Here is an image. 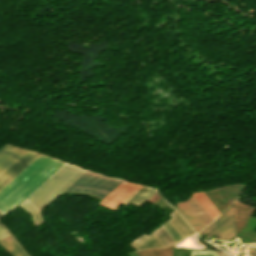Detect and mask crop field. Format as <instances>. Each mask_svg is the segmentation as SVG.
<instances>
[{"mask_svg": "<svg viewBox=\"0 0 256 256\" xmlns=\"http://www.w3.org/2000/svg\"><path fill=\"white\" fill-rule=\"evenodd\" d=\"M191 256H216L214 252H191Z\"/></svg>", "mask_w": 256, "mask_h": 256, "instance_id": "crop-field-14", "label": "crop field"}, {"mask_svg": "<svg viewBox=\"0 0 256 256\" xmlns=\"http://www.w3.org/2000/svg\"><path fill=\"white\" fill-rule=\"evenodd\" d=\"M247 252L249 256H256V250L247 248Z\"/></svg>", "mask_w": 256, "mask_h": 256, "instance_id": "crop-field-16", "label": "crop field"}, {"mask_svg": "<svg viewBox=\"0 0 256 256\" xmlns=\"http://www.w3.org/2000/svg\"><path fill=\"white\" fill-rule=\"evenodd\" d=\"M39 156L40 154L36 152L28 151L4 173H2L0 175V190Z\"/></svg>", "mask_w": 256, "mask_h": 256, "instance_id": "crop-field-6", "label": "crop field"}, {"mask_svg": "<svg viewBox=\"0 0 256 256\" xmlns=\"http://www.w3.org/2000/svg\"><path fill=\"white\" fill-rule=\"evenodd\" d=\"M140 186L124 183L118 185L104 199L100 201V205L116 210L125 200H127Z\"/></svg>", "mask_w": 256, "mask_h": 256, "instance_id": "crop-field-5", "label": "crop field"}, {"mask_svg": "<svg viewBox=\"0 0 256 256\" xmlns=\"http://www.w3.org/2000/svg\"><path fill=\"white\" fill-rule=\"evenodd\" d=\"M177 207L179 213L184 217L195 232H199L206 226L186 202L177 203Z\"/></svg>", "mask_w": 256, "mask_h": 256, "instance_id": "crop-field-8", "label": "crop field"}, {"mask_svg": "<svg viewBox=\"0 0 256 256\" xmlns=\"http://www.w3.org/2000/svg\"><path fill=\"white\" fill-rule=\"evenodd\" d=\"M63 164L43 155L37 158L0 191V212L17 206Z\"/></svg>", "mask_w": 256, "mask_h": 256, "instance_id": "crop-field-1", "label": "crop field"}, {"mask_svg": "<svg viewBox=\"0 0 256 256\" xmlns=\"http://www.w3.org/2000/svg\"><path fill=\"white\" fill-rule=\"evenodd\" d=\"M0 216H1V214H0Z\"/></svg>", "mask_w": 256, "mask_h": 256, "instance_id": "crop-field-17", "label": "crop field"}, {"mask_svg": "<svg viewBox=\"0 0 256 256\" xmlns=\"http://www.w3.org/2000/svg\"><path fill=\"white\" fill-rule=\"evenodd\" d=\"M207 234L210 238L212 234L223 240L231 239L235 236V224L232 209L229 208L223 214H221L217 219H215L210 225H208L199 234Z\"/></svg>", "mask_w": 256, "mask_h": 256, "instance_id": "crop-field-4", "label": "crop field"}, {"mask_svg": "<svg viewBox=\"0 0 256 256\" xmlns=\"http://www.w3.org/2000/svg\"><path fill=\"white\" fill-rule=\"evenodd\" d=\"M7 230L0 224V239L8 236Z\"/></svg>", "mask_w": 256, "mask_h": 256, "instance_id": "crop-field-15", "label": "crop field"}, {"mask_svg": "<svg viewBox=\"0 0 256 256\" xmlns=\"http://www.w3.org/2000/svg\"><path fill=\"white\" fill-rule=\"evenodd\" d=\"M171 216L173 218L170 221L184 238L194 233L176 211Z\"/></svg>", "mask_w": 256, "mask_h": 256, "instance_id": "crop-field-10", "label": "crop field"}, {"mask_svg": "<svg viewBox=\"0 0 256 256\" xmlns=\"http://www.w3.org/2000/svg\"><path fill=\"white\" fill-rule=\"evenodd\" d=\"M0 243L12 256H28L12 236L0 240Z\"/></svg>", "mask_w": 256, "mask_h": 256, "instance_id": "crop-field-9", "label": "crop field"}, {"mask_svg": "<svg viewBox=\"0 0 256 256\" xmlns=\"http://www.w3.org/2000/svg\"><path fill=\"white\" fill-rule=\"evenodd\" d=\"M186 202L197 213V215L204 221L206 225L209 224L211 221H213L193 196L190 199H188Z\"/></svg>", "mask_w": 256, "mask_h": 256, "instance_id": "crop-field-12", "label": "crop field"}, {"mask_svg": "<svg viewBox=\"0 0 256 256\" xmlns=\"http://www.w3.org/2000/svg\"><path fill=\"white\" fill-rule=\"evenodd\" d=\"M121 182L86 171L65 191L88 193L102 199Z\"/></svg>", "mask_w": 256, "mask_h": 256, "instance_id": "crop-field-3", "label": "crop field"}, {"mask_svg": "<svg viewBox=\"0 0 256 256\" xmlns=\"http://www.w3.org/2000/svg\"><path fill=\"white\" fill-rule=\"evenodd\" d=\"M193 196L196 198V200L201 204V206L206 210V212L211 216L213 220L220 214L203 193L193 194Z\"/></svg>", "mask_w": 256, "mask_h": 256, "instance_id": "crop-field-11", "label": "crop field"}, {"mask_svg": "<svg viewBox=\"0 0 256 256\" xmlns=\"http://www.w3.org/2000/svg\"><path fill=\"white\" fill-rule=\"evenodd\" d=\"M154 231L157 234V236L159 237V239L162 242V244L164 245V247L170 246L175 243L171 239V237L164 231V229L162 227H160Z\"/></svg>", "mask_w": 256, "mask_h": 256, "instance_id": "crop-field-13", "label": "crop field"}, {"mask_svg": "<svg viewBox=\"0 0 256 256\" xmlns=\"http://www.w3.org/2000/svg\"><path fill=\"white\" fill-rule=\"evenodd\" d=\"M27 150L3 145L0 147V174L16 161Z\"/></svg>", "mask_w": 256, "mask_h": 256, "instance_id": "crop-field-7", "label": "crop field"}, {"mask_svg": "<svg viewBox=\"0 0 256 256\" xmlns=\"http://www.w3.org/2000/svg\"><path fill=\"white\" fill-rule=\"evenodd\" d=\"M68 164H66L64 167H66ZM63 167V168H64ZM62 168V169H63ZM62 169H60L56 174H58ZM85 171L80 170L78 168L72 167L68 165L65 169H63L57 176L51 177L48 181L52 180L49 183H45L42 185L40 188H43L41 190H37L34 194L33 197H29L25 202V204H21L20 206L22 209L27 210L30 212L32 216V220L34 225H38L42 223L41 217L39 212L50 202L52 201L57 195H59L64 189H66L72 182H74L81 174H83ZM37 227V226H36Z\"/></svg>", "mask_w": 256, "mask_h": 256, "instance_id": "crop-field-2", "label": "crop field"}]
</instances>
